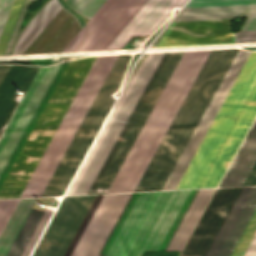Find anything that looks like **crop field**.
Returning <instances> with one entry per match:
<instances>
[{"label": "crop field", "mask_w": 256, "mask_h": 256, "mask_svg": "<svg viewBox=\"0 0 256 256\" xmlns=\"http://www.w3.org/2000/svg\"><path fill=\"white\" fill-rule=\"evenodd\" d=\"M19 199L0 201V234L15 209Z\"/></svg>", "instance_id": "28"}, {"label": "crop field", "mask_w": 256, "mask_h": 256, "mask_svg": "<svg viewBox=\"0 0 256 256\" xmlns=\"http://www.w3.org/2000/svg\"><path fill=\"white\" fill-rule=\"evenodd\" d=\"M249 54L250 52H246L241 49L239 50L236 58L234 59L221 85L219 86L215 96L213 97L195 132L193 133L189 143L187 144L174 170L172 171L163 190L176 189L179 181L181 180L185 170L187 169L190 161L192 160L196 150L198 149L201 141L203 140L207 130L209 129L212 121L214 120L217 112L219 111L223 101L225 100L228 92L230 91Z\"/></svg>", "instance_id": "12"}, {"label": "crop field", "mask_w": 256, "mask_h": 256, "mask_svg": "<svg viewBox=\"0 0 256 256\" xmlns=\"http://www.w3.org/2000/svg\"><path fill=\"white\" fill-rule=\"evenodd\" d=\"M256 116V52H251L177 189L216 187Z\"/></svg>", "instance_id": "4"}, {"label": "crop field", "mask_w": 256, "mask_h": 256, "mask_svg": "<svg viewBox=\"0 0 256 256\" xmlns=\"http://www.w3.org/2000/svg\"><path fill=\"white\" fill-rule=\"evenodd\" d=\"M256 29V18L255 19H246L241 30H250Z\"/></svg>", "instance_id": "33"}, {"label": "crop field", "mask_w": 256, "mask_h": 256, "mask_svg": "<svg viewBox=\"0 0 256 256\" xmlns=\"http://www.w3.org/2000/svg\"><path fill=\"white\" fill-rule=\"evenodd\" d=\"M13 0H0V32L10 10Z\"/></svg>", "instance_id": "29"}, {"label": "crop field", "mask_w": 256, "mask_h": 256, "mask_svg": "<svg viewBox=\"0 0 256 256\" xmlns=\"http://www.w3.org/2000/svg\"><path fill=\"white\" fill-rule=\"evenodd\" d=\"M256 5L184 9L175 21L255 17Z\"/></svg>", "instance_id": "18"}, {"label": "crop field", "mask_w": 256, "mask_h": 256, "mask_svg": "<svg viewBox=\"0 0 256 256\" xmlns=\"http://www.w3.org/2000/svg\"><path fill=\"white\" fill-rule=\"evenodd\" d=\"M118 56L97 57L20 198L41 196ZM131 57L119 56L42 196L63 195L115 99Z\"/></svg>", "instance_id": "2"}, {"label": "crop field", "mask_w": 256, "mask_h": 256, "mask_svg": "<svg viewBox=\"0 0 256 256\" xmlns=\"http://www.w3.org/2000/svg\"><path fill=\"white\" fill-rule=\"evenodd\" d=\"M233 20L171 23L155 47L236 42Z\"/></svg>", "instance_id": "13"}, {"label": "crop field", "mask_w": 256, "mask_h": 256, "mask_svg": "<svg viewBox=\"0 0 256 256\" xmlns=\"http://www.w3.org/2000/svg\"><path fill=\"white\" fill-rule=\"evenodd\" d=\"M36 199L20 200L11 219L0 237V256H6Z\"/></svg>", "instance_id": "20"}, {"label": "crop field", "mask_w": 256, "mask_h": 256, "mask_svg": "<svg viewBox=\"0 0 256 256\" xmlns=\"http://www.w3.org/2000/svg\"><path fill=\"white\" fill-rule=\"evenodd\" d=\"M238 49L184 52L108 193L162 190Z\"/></svg>", "instance_id": "1"}, {"label": "crop field", "mask_w": 256, "mask_h": 256, "mask_svg": "<svg viewBox=\"0 0 256 256\" xmlns=\"http://www.w3.org/2000/svg\"><path fill=\"white\" fill-rule=\"evenodd\" d=\"M178 1L187 0H142L101 50L120 49L132 34L150 33Z\"/></svg>", "instance_id": "14"}, {"label": "crop field", "mask_w": 256, "mask_h": 256, "mask_svg": "<svg viewBox=\"0 0 256 256\" xmlns=\"http://www.w3.org/2000/svg\"><path fill=\"white\" fill-rule=\"evenodd\" d=\"M141 0H106L65 52L98 51Z\"/></svg>", "instance_id": "11"}, {"label": "crop field", "mask_w": 256, "mask_h": 256, "mask_svg": "<svg viewBox=\"0 0 256 256\" xmlns=\"http://www.w3.org/2000/svg\"><path fill=\"white\" fill-rule=\"evenodd\" d=\"M95 197H65L33 256H63Z\"/></svg>", "instance_id": "10"}, {"label": "crop field", "mask_w": 256, "mask_h": 256, "mask_svg": "<svg viewBox=\"0 0 256 256\" xmlns=\"http://www.w3.org/2000/svg\"><path fill=\"white\" fill-rule=\"evenodd\" d=\"M132 193L113 195L80 256H98Z\"/></svg>", "instance_id": "15"}, {"label": "crop field", "mask_w": 256, "mask_h": 256, "mask_svg": "<svg viewBox=\"0 0 256 256\" xmlns=\"http://www.w3.org/2000/svg\"><path fill=\"white\" fill-rule=\"evenodd\" d=\"M23 1L24 0H14L13 2V5L7 17V20L5 22V25L0 34V54H2L4 51V48L6 46V43L8 41V38L10 36V33L12 31V28L14 26V23L16 21V18L18 16V13L20 11Z\"/></svg>", "instance_id": "22"}, {"label": "crop field", "mask_w": 256, "mask_h": 256, "mask_svg": "<svg viewBox=\"0 0 256 256\" xmlns=\"http://www.w3.org/2000/svg\"><path fill=\"white\" fill-rule=\"evenodd\" d=\"M183 52L149 54L134 83H130L115 112L112 111L66 195L107 193Z\"/></svg>", "instance_id": "3"}, {"label": "crop field", "mask_w": 256, "mask_h": 256, "mask_svg": "<svg viewBox=\"0 0 256 256\" xmlns=\"http://www.w3.org/2000/svg\"><path fill=\"white\" fill-rule=\"evenodd\" d=\"M10 68H11V65H0V86L3 83Z\"/></svg>", "instance_id": "34"}, {"label": "crop field", "mask_w": 256, "mask_h": 256, "mask_svg": "<svg viewBox=\"0 0 256 256\" xmlns=\"http://www.w3.org/2000/svg\"><path fill=\"white\" fill-rule=\"evenodd\" d=\"M244 256H256V234L250 243L247 251L245 252Z\"/></svg>", "instance_id": "32"}, {"label": "crop field", "mask_w": 256, "mask_h": 256, "mask_svg": "<svg viewBox=\"0 0 256 256\" xmlns=\"http://www.w3.org/2000/svg\"><path fill=\"white\" fill-rule=\"evenodd\" d=\"M241 188L217 189L180 256H204ZM256 208V187L242 188L205 256H229Z\"/></svg>", "instance_id": "8"}, {"label": "crop field", "mask_w": 256, "mask_h": 256, "mask_svg": "<svg viewBox=\"0 0 256 256\" xmlns=\"http://www.w3.org/2000/svg\"><path fill=\"white\" fill-rule=\"evenodd\" d=\"M255 232H256V211L253 214L250 222L248 223L245 231L243 232L231 256H243Z\"/></svg>", "instance_id": "23"}, {"label": "crop field", "mask_w": 256, "mask_h": 256, "mask_svg": "<svg viewBox=\"0 0 256 256\" xmlns=\"http://www.w3.org/2000/svg\"><path fill=\"white\" fill-rule=\"evenodd\" d=\"M237 42H252L256 41V30L239 31L235 33Z\"/></svg>", "instance_id": "30"}, {"label": "crop field", "mask_w": 256, "mask_h": 256, "mask_svg": "<svg viewBox=\"0 0 256 256\" xmlns=\"http://www.w3.org/2000/svg\"><path fill=\"white\" fill-rule=\"evenodd\" d=\"M72 6L80 10L88 17H92L93 14L99 9V7L105 2V0H68Z\"/></svg>", "instance_id": "25"}, {"label": "crop field", "mask_w": 256, "mask_h": 256, "mask_svg": "<svg viewBox=\"0 0 256 256\" xmlns=\"http://www.w3.org/2000/svg\"><path fill=\"white\" fill-rule=\"evenodd\" d=\"M193 192L133 193L101 254L143 256L147 249H161ZM196 192L182 211L162 249H165Z\"/></svg>", "instance_id": "5"}, {"label": "crop field", "mask_w": 256, "mask_h": 256, "mask_svg": "<svg viewBox=\"0 0 256 256\" xmlns=\"http://www.w3.org/2000/svg\"><path fill=\"white\" fill-rule=\"evenodd\" d=\"M215 189L198 190L166 251H181Z\"/></svg>", "instance_id": "17"}, {"label": "crop field", "mask_w": 256, "mask_h": 256, "mask_svg": "<svg viewBox=\"0 0 256 256\" xmlns=\"http://www.w3.org/2000/svg\"><path fill=\"white\" fill-rule=\"evenodd\" d=\"M61 5L58 0L48 1L22 31L13 55H18L30 44ZM64 9V8H63ZM62 8L24 50L22 54L61 52L80 30L78 21ZM75 17V16H74Z\"/></svg>", "instance_id": "9"}, {"label": "crop field", "mask_w": 256, "mask_h": 256, "mask_svg": "<svg viewBox=\"0 0 256 256\" xmlns=\"http://www.w3.org/2000/svg\"><path fill=\"white\" fill-rule=\"evenodd\" d=\"M52 212L51 211H47L45 210L42 218L40 219L36 229L34 230L31 238L29 239L26 247L24 248L21 256H29L33 247L35 246L39 236L41 235L44 227L46 226L50 216H51Z\"/></svg>", "instance_id": "24"}, {"label": "crop field", "mask_w": 256, "mask_h": 256, "mask_svg": "<svg viewBox=\"0 0 256 256\" xmlns=\"http://www.w3.org/2000/svg\"><path fill=\"white\" fill-rule=\"evenodd\" d=\"M96 57L70 61L0 188V199L19 198Z\"/></svg>", "instance_id": "7"}, {"label": "crop field", "mask_w": 256, "mask_h": 256, "mask_svg": "<svg viewBox=\"0 0 256 256\" xmlns=\"http://www.w3.org/2000/svg\"><path fill=\"white\" fill-rule=\"evenodd\" d=\"M42 212L31 210L28 218L26 219L23 227L21 228L17 238L15 239L12 247L10 248L7 256H19L22 252L27 240L29 239L35 225L37 224Z\"/></svg>", "instance_id": "21"}, {"label": "crop field", "mask_w": 256, "mask_h": 256, "mask_svg": "<svg viewBox=\"0 0 256 256\" xmlns=\"http://www.w3.org/2000/svg\"><path fill=\"white\" fill-rule=\"evenodd\" d=\"M256 160V120L219 187L242 186Z\"/></svg>", "instance_id": "16"}, {"label": "crop field", "mask_w": 256, "mask_h": 256, "mask_svg": "<svg viewBox=\"0 0 256 256\" xmlns=\"http://www.w3.org/2000/svg\"><path fill=\"white\" fill-rule=\"evenodd\" d=\"M112 195H98L65 256H79Z\"/></svg>", "instance_id": "19"}, {"label": "crop field", "mask_w": 256, "mask_h": 256, "mask_svg": "<svg viewBox=\"0 0 256 256\" xmlns=\"http://www.w3.org/2000/svg\"><path fill=\"white\" fill-rule=\"evenodd\" d=\"M248 185H256V162L243 184V186H248Z\"/></svg>", "instance_id": "31"}, {"label": "crop field", "mask_w": 256, "mask_h": 256, "mask_svg": "<svg viewBox=\"0 0 256 256\" xmlns=\"http://www.w3.org/2000/svg\"><path fill=\"white\" fill-rule=\"evenodd\" d=\"M34 1H35V0H25V1H24L23 6H22V8H21V11H20V13H19V16H18V18H17V21H16V23H15V26H14V28H13V31H12V33H11V36H10V38H9V41H8V43H7V46H6L5 51H4L3 54H10V53H11L12 48H13V46H14V43H15V41H16V38H17V36H18V33H19V31H20V25H21L22 20H23V18H24V15H25V12H26V10H27V7H28L29 4H31V3L34 2Z\"/></svg>", "instance_id": "27"}, {"label": "crop field", "mask_w": 256, "mask_h": 256, "mask_svg": "<svg viewBox=\"0 0 256 256\" xmlns=\"http://www.w3.org/2000/svg\"><path fill=\"white\" fill-rule=\"evenodd\" d=\"M256 4V0H191L187 7ZM186 7V8H187Z\"/></svg>", "instance_id": "26"}, {"label": "crop field", "mask_w": 256, "mask_h": 256, "mask_svg": "<svg viewBox=\"0 0 256 256\" xmlns=\"http://www.w3.org/2000/svg\"><path fill=\"white\" fill-rule=\"evenodd\" d=\"M69 61L54 66H12L0 88V134L14 111L19 90L27 92L0 140V186L50 98Z\"/></svg>", "instance_id": "6"}]
</instances>
